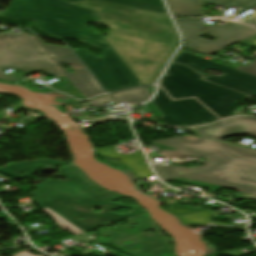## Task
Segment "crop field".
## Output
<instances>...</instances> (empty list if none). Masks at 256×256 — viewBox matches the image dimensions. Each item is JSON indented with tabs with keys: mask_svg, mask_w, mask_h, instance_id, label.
Here are the masks:
<instances>
[{
	"mask_svg": "<svg viewBox=\"0 0 256 256\" xmlns=\"http://www.w3.org/2000/svg\"><path fill=\"white\" fill-rule=\"evenodd\" d=\"M173 62L186 64L205 77L203 80L231 88L252 97L256 96V76L254 75L199 58L182 50H180ZM208 69H215L223 75L221 77L206 76L203 73Z\"/></svg>",
	"mask_w": 256,
	"mask_h": 256,
	"instance_id": "8",
	"label": "crop field"
},
{
	"mask_svg": "<svg viewBox=\"0 0 256 256\" xmlns=\"http://www.w3.org/2000/svg\"><path fill=\"white\" fill-rule=\"evenodd\" d=\"M0 16L12 19H35L36 26L51 36L77 38L95 48H103L101 58L84 49L75 53L99 81L106 92L142 85L117 56L105 38L84 23L101 24L97 13L60 0H11Z\"/></svg>",
	"mask_w": 256,
	"mask_h": 256,
	"instance_id": "2",
	"label": "crop field"
},
{
	"mask_svg": "<svg viewBox=\"0 0 256 256\" xmlns=\"http://www.w3.org/2000/svg\"><path fill=\"white\" fill-rule=\"evenodd\" d=\"M151 102L164 115L161 118L166 125L195 126L219 119L195 98L171 101L160 86L156 98Z\"/></svg>",
	"mask_w": 256,
	"mask_h": 256,
	"instance_id": "9",
	"label": "crop field"
},
{
	"mask_svg": "<svg viewBox=\"0 0 256 256\" xmlns=\"http://www.w3.org/2000/svg\"><path fill=\"white\" fill-rule=\"evenodd\" d=\"M173 16H203L199 0H166Z\"/></svg>",
	"mask_w": 256,
	"mask_h": 256,
	"instance_id": "18",
	"label": "crop field"
},
{
	"mask_svg": "<svg viewBox=\"0 0 256 256\" xmlns=\"http://www.w3.org/2000/svg\"><path fill=\"white\" fill-rule=\"evenodd\" d=\"M254 199H256V192H255V195L253 196Z\"/></svg>",
	"mask_w": 256,
	"mask_h": 256,
	"instance_id": "32",
	"label": "crop field"
},
{
	"mask_svg": "<svg viewBox=\"0 0 256 256\" xmlns=\"http://www.w3.org/2000/svg\"><path fill=\"white\" fill-rule=\"evenodd\" d=\"M202 1L219 5L222 7H226V8H228L231 5H234L237 7L247 9L256 4V0H202Z\"/></svg>",
	"mask_w": 256,
	"mask_h": 256,
	"instance_id": "20",
	"label": "crop field"
},
{
	"mask_svg": "<svg viewBox=\"0 0 256 256\" xmlns=\"http://www.w3.org/2000/svg\"><path fill=\"white\" fill-rule=\"evenodd\" d=\"M59 91L71 94L75 98L82 99L80 95H78V91L76 90V87L72 85L68 80L62 81L61 83L55 85L54 87Z\"/></svg>",
	"mask_w": 256,
	"mask_h": 256,
	"instance_id": "23",
	"label": "crop field"
},
{
	"mask_svg": "<svg viewBox=\"0 0 256 256\" xmlns=\"http://www.w3.org/2000/svg\"><path fill=\"white\" fill-rule=\"evenodd\" d=\"M5 68L20 69L29 74L40 70L50 75H63L29 34L0 39V79H22L5 74L2 71Z\"/></svg>",
	"mask_w": 256,
	"mask_h": 256,
	"instance_id": "6",
	"label": "crop field"
},
{
	"mask_svg": "<svg viewBox=\"0 0 256 256\" xmlns=\"http://www.w3.org/2000/svg\"><path fill=\"white\" fill-rule=\"evenodd\" d=\"M33 37L37 40L55 65L70 80V82L77 87V90H79L86 99L97 94L104 93L91 75H89L85 68H83L82 64L70 49L44 44L37 36ZM60 63H67L71 65V69L75 70L76 72L68 73L63 67L60 66Z\"/></svg>",
	"mask_w": 256,
	"mask_h": 256,
	"instance_id": "10",
	"label": "crop field"
},
{
	"mask_svg": "<svg viewBox=\"0 0 256 256\" xmlns=\"http://www.w3.org/2000/svg\"><path fill=\"white\" fill-rule=\"evenodd\" d=\"M201 76L185 65L171 63L160 85L173 99L194 96L221 118L235 116L238 103L250 97L203 81Z\"/></svg>",
	"mask_w": 256,
	"mask_h": 256,
	"instance_id": "5",
	"label": "crop field"
},
{
	"mask_svg": "<svg viewBox=\"0 0 256 256\" xmlns=\"http://www.w3.org/2000/svg\"><path fill=\"white\" fill-rule=\"evenodd\" d=\"M222 171L223 170L177 178L173 179V181L204 187L209 192L217 191L220 190L229 179L222 174Z\"/></svg>",
	"mask_w": 256,
	"mask_h": 256,
	"instance_id": "14",
	"label": "crop field"
},
{
	"mask_svg": "<svg viewBox=\"0 0 256 256\" xmlns=\"http://www.w3.org/2000/svg\"><path fill=\"white\" fill-rule=\"evenodd\" d=\"M237 69H240V70H243L245 72H248V73L256 75V60L253 61L252 63H250L247 66L239 67Z\"/></svg>",
	"mask_w": 256,
	"mask_h": 256,
	"instance_id": "25",
	"label": "crop field"
},
{
	"mask_svg": "<svg viewBox=\"0 0 256 256\" xmlns=\"http://www.w3.org/2000/svg\"><path fill=\"white\" fill-rule=\"evenodd\" d=\"M75 5L97 11L108 28L106 40L142 82H156L161 70L179 45L169 17L135 8L83 0Z\"/></svg>",
	"mask_w": 256,
	"mask_h": 256,
	"instance_id": "1",
	"label": "crop field"
},
{
	"mask_svg": "<svg viewBox=\"0 0 256 256\" xmlns=\"http://www.w3.org/2000/svg\"><path fill=\"white\" fill-rule=\"evenodd\" d=\"M95 151L103 157H113L120 159V161H113L112 163L121 164L131 168L136 174L137 179L153 176L147 164H144L145 159L143 157L142 151H138L130 156H126L124 154L119 155L115 150V146L104 147L96 149Z\"/></svg>",
	"mask_w": 256,
	"mask_h": 256,
	"instance_id": "13",
	"label": "crop field"
},
{
	"mask_svg": "<svg viewBox=\"0 0 256 256\" xmlns=\"http://www.w3.org/2000/svg\"><path fill=\"white\" fill-rule=\"evenodd\" d=\"M151 96L146 91L145 88L142 89H134L122 93H117L113 95H109L106 97H102L95 101L89 102L90 105L95 107H100L102 101L110 102V101H128L133 103L135 106L149 99Z\"/></svg>",
	"mask_w": 256,
	"mask_h": 256,
	"instance_id": "16",
	"label": "crop field"
},
{
	"mask_svg": "<svg viewBox=\"0 0 256 256\" xmlns=\"http://www.w3.org/2000/svg\"><path fill=\"white\" fill-rule=\"evenodd\" d=\"M56 175L68 180H47L37 184L38 190L33 195L36 196L38 206L41 209L49 207L85 232L144 212L137 207L127 215L114 214L112 211L122 206L109 203V201L120 197L98 188L77 170L60 169ZM74 198L81 201L73 202ZM95 207L102 211L99 214L91 212ZM78 216L86 218L78 220L76 219ZM103 220L108 222L104 224L101 222Z\"/></svg>",
	"mask_w": 256,
	"mask_h": 256,
	"instance_id": "3",
	"label": "crop field"
},
{
	"mask_svg": "<svg viewBox=\"0 0 256 256\" xmlns=\"http://www.w3.org/2000/svg\"><path fill=\"white\" fill-rule=\"evenodd\" d=\"M176 171H178L181 174H185V173H189V172H194L196 170H195V167H192V168L177 169Z\"/></svg>",
	"mask_w": 256,
	"mask_h": 256,
	"instance_id": "26",
	"label": "crop field"
},
{
	"mask_svg": "<svg viewBox=\"0 0 256 256\" xmlns=\"http://www.w3.org/2000/svg\"><path fill=\"white\" fill-rule=\"evenodd\" d=\"M42 210L46 211L53 218H55L57 224L60 225L61 227L72 231L76 235L84 233V231H82L79 228L75 227L74 225L69 223L67 220H65L64 218H62L60 215H58L57 213L53 212L52 210H50L48 208H44Z\"/></svg>",
	"mask_w": 256,
	"mask_h": 256,
	"instance_id": "21",
	"label": "crop field"
},
{
	"mask_svg": "<svg viewBox=\"0 0 256 256\" xmlns=\"http://www.w3.org/2000/svg\"><path fill=\"white\" fill-rule=\"evenodd\" d=\"M147 105L152 109L155 116H162V114L159 112V110L151 102L148 103Z\"/></svg>",
	"mask_w": 256,
	"mask_h": 256,
	"instance_id": "28",
	"label": "crop field"
},
{
	"mask_svg": "<svg viewBox=\"0 0 256 256\" xmlns=\"http://www.w3.org/2000/svg\"><path fill=\"white\" fill-rule=\"evenodd\" d=\"M69 3H76L80 0H63ZM108 3H116L119 5H125L129 7H135L142 10L158 12L168 15L166 8L162 0H102Z\"/></svg>",
	"mask_w": 256,
	"mask_h": 256,
	"instance_id": "17",
	"label": "crop field"
},
{
	"mask_svg": "<svg viewBox=\"0 0 256 256\" xmlns=\"http://www.w3.org/2000/svg\"><path fill=\"white\" fill-rule=\"evenodd\" d=\"M196 129L200 132L201 136L217 140L236 134H246L256 138V118H231L213 126Z\"/></svg>",
	"mask_w": 256,
	"mask_h": 256,
	"instance_id": "12",
	"label": "crop field"
},
{
	"mask_svg": "<svg viewBox=\"0 0 256 256\" xmlns=\"http://www.w3.org/2000/svg\"><path fill=\"white\" fill-rule=\"evenodd\" d=\"M176 22L185 39L184 47L192 48V50L206 55H210L256 34V30L231 22L226 23L224 26L215 25L208 28L203 26L198 18H182L181 20H176ZM205 34L216 39L210 41L200 38Z\"/></svg>",
	"mask_w": 256,
	"mask_h": 256,
	"instance_id": "7",
	"label": "crop field"
},
{
	"mask_svg": "<svg viewBox=\"0 0 256 256\" xmlns=\"http://www.w3.org/2000/svg\"><path fill=\"white\" fill-rule=\"evenodd\" d=\"M42 164H62L60 160H35L29 162H19L0 168V172L15 177L18 179L28 178L42 165ZM26 173V175H19V173Z\"/></svg>",
	"mask_w": 256,
	"mask_h": 256,
	"instance_id": "15",
	"label": "crop field"
},
{
	"mask_svg": "<svg viewBox=\"0 0 256 256\" xmlns=\"http://www.w3.org/2000/svg\"><path fill=\"white\" fill-rule=\"evenodd\" d=\"M240 148H242V147H240ZM246 149V148H245ZM248 151H250V152H255L256 153V151H254V150H250V149H247Z\"/></svg>",
	"mask_w": 256,
	"mask_h": 256,
	"instance_id": "31",
	"label": "crop field"
},
{
	"mask_svg": "<svg viewBox=\"0 0 256 256\" xmlns=\"http://www.w3.org/2000/svg\"><path fill=\"white\" fill-rule=\"evenodd\" d=\"M166 209L176 217L207 210V209H200V208L184 207L178 204L167 207Z\"/></svg>",
	"mask_w": 256,
	"mask_h": 256,
	"instance_id": "22",
	"label": "crop field"
},
{
	"mask_svg": "<svg viewBox=\"0 0 256 256\" xmlns=\"http://www.w3.org/2000/svg\"><path fill=\"white\" fill-rule=\"evenodd\" d=\"M143 217L145 218V220L147 221V223L149 224V226L151 227V229H155L156 232L159 233V231L152 225L151 221H150L149 218L146 216V214H144ZM158 236H159V238L162 240V242H163L164 245H165L167 255H168V256H171V254L169 253V251H170V245H169L167 239L164 238L160 233H159Z\"/></svg>",
	"mask_w": 256,
	"mask_h": 256,
	"instance_id": "24",
	"label": "crop field"
},
{
	"mask_svg": "<svg viewBox=\"0 0 256 256\" xmlns=\"http://www.w3.org/2000/svg\"><path fill=\"white\" fill-rule=\"evenodd\" d=\"M243 23H246V24H248V25H252V24H254V25H256V15H254L253 17H251V18H249V19H247V20H245V21H242ZM256 27V26H255Z\"/></svg>",
	"mask_w": 256,
	"mask_h": 256,
	"instance_id": "27",
	"label": "crop field"
},
{
	"mask_svg": "<svg viewBox=\"0 0 256 256\" xmlns=\"http://www.w3.org/2000/svg\"><path fill=\"white\" fill-rule=\"evenodd\" d=\"M137 219H141L145 223L140 224V227L138 229H124L121 227H117L109 230L115 235L114 238H112L111 240L114 243H112L110 240L109 242H106L105 240L97 241L105 245H108L110 243L115 245L116 243H118L120 244L118 247H123L134 251L138 250L136 252H138L139 254L135 256H166L164 246L161 240L157 237V235L151 232H142L147 229L146 227H148V230L150 229L142 215L131 218V220L138 222ZM116 230H118L119 232ZM126 232H129L127 233L128 235L126 234Z\"/></svg>",
	"mask_w": 256,
	"mask_h": 256,
	"instance_id": "11",
	"label": "crop field"
},
{
	"mask_svg": "<svg viewBox=\"0 0 256 256\" xmlns=\"http://www.w3.org/2000/svg\"><path fill=\"white\" fill-rule=\"evenodd\" d=\"M15 256H34V255H30V254H28L26 252H23V253L15 255Z\"/></svg>",
	"mask_w": 256,
	"mask_h": 256,
	"instance_id": "30",
	"label": "crop field"
},
{
	"mask_svg": "<svg viewBox=\"0 0 256 256\" xmlns=\"http://www.w3.org/2000/svg\"><path fill=\"white\" fill-rule=\"evenodd\" d=\"M184 224L187 223H200V224H221L229 226L230 224H222V223H213L210 221V211L196 213L192 215L179 217Z\"/></svg>",
	"mask_w": 256,
	"mask_h": 256,
	"instance_id": "19",
	"label": "crop field"
},
{
	"mask_svg": "<svg viewBox=\"0 0 256 256\" xmlns=\"http://www.w3.org/2000/svg\"><path fill=\"white\" fill-rule=\"evenodd\" d=\"M21 34H23V33H21ZM12 35H14L12 32L4 33V34H0V38H1V37L12 36Z\"/></svg>",
	"mask_w": 256,
	"mask_h": 256,
	"instance_id": "29",
	"label": "crop field"
},
{
	"mask_svg": "<svg viewBox=\"0 0 256 256\" xmlns=\"http://www.w3.org/2000/svg\"><path fill=\"white\" fill-rule=\"evenodd\" d=\"M152 142L177 149L175 151H162L163 155L169 159L179 158L183 155L210 159V161L205 162V166L196 167L197 172L186 175H180L175 171L176 168H182L180 166H155L156 173L163 180L224 169L223 174L230 178L225 184V188L250 194H254L256 191L255 153L191 135Z\"/></svg>",
	"mask_w": 256,
	"mask_h": 256,
	"instance_id": "4",
	"label": "crop field"
}]
</instances>
